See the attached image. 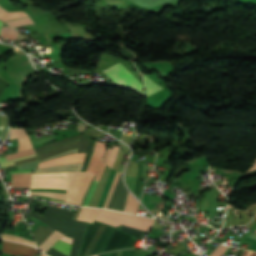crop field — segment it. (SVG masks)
<instances>
[{"mask_svg": "<svg viewBox=\"0 0 256 256\" xmlns=\"http://www.w3.org/2000/svg\"><path fill=\"white\" fill-rule=\"evenodd\" d=\"M98 225H99V222H97V221H94L93 224H91V223L87 224V228H86V232H85V236H84V240H83V243H82V247H81V251H80L79 256H82L85 248L87 247V245H88L90 239L92 238L94 232L96 231ZM111 229H112V226L106 225V227H105L102 235L100 236L97 244L95 245L91 255L98 254L100 252V250H101L105 240L107 239ZM113 229H114V227H113ZM113 229H112V231H113ZM112 231H111V233H112ZM143 234H144L143 231H139V230L133 229V228L128 227V226L120 225L119 228L115 227L111 236L109 235L110 238L108 237L109 240L108 241L106 240L107 243L105 242L106 245L104 244L105 246H104L102 252L127 248L128 244L131 241V238H129L130 235L142 238ZM137 237L135 238L136 239L135 242L137 240H140V238H137ZM133 242H134V240L132 239L128 248H131ZM135 242H134V244H135ZM134 244H133V246H134ZM133 246H132V248H133Z\"/></svg>", "mask_w": 256, "mask_h": 256, "instance_id": "crop-field-1", "label": "crop field"}, {"mask_svg": "<svg viewBox=\"0 0 256 256\" xmlns=\"http://www.w3.org/2000/svg\"><path fill=\"white\" fill-rule=\"evenodd\" d=\"M96 220L119 227L120 224L128 225L139 230L149 232L154 220L132 214L112 210H99Z\"/></svg>", "mask_w": 256, "mask_h": 256, "instance_id": "crop-field-2", "label": "crop field"}, {"mask_svg": "<svg viewBox=\"0 0 256 256\" xmlns=\"http://www.w3.org/2000/svg\"><path fill=\"white\" fill-rule=\"evenodd\" d=\"M92 176L91 172L68 173L65 202L80 204Z\"/></svg>", "mask_w": 256, "mask_h": 256, "instance_id": "crop-field-3", "label": "crop field"}, {"mask_svg": "<svg viewBox=\"0 0 256 256\" xmlns=\"http://www.w3.org/2000/svg\"><path fill=\"white\" fill-rule=\"evenodd\" d=\"M108 73L116 83L132 87L143 93V84L137 80L120 62L104 70Z\"/></svg>", "mask_w": 256, "mask_h": 256, "instance_id": "crop-field-4", "label": "crop field"}, {"mask_svg": "<svg viewBox=\"0 0 256 256\" xmlns=\"http://www.w3.org/2000/svg\"><path fill=\"white\" fill-rule=\"evenodd\" d=\"M79 136L81 138V140H79V141H75V142L69 143L67 145H64V146H62L60 148L53 149V150L46 151V152H43L41 154H38L39 161L43 160L45 158L51 157L53 155H56V154H59V153L65 152V151L77 149V148H79L78 152H86L89 139L84 137V136H82V135H79ZM75 137H78V136H75ZM75 137H70V138H66V139L60 140L58 142H55V143L43 146L41 148L35 149L34 151L42 149V148H45V147H48V146H51V145H54L56 143H59V142H62V141H65V140H68V139H71V138H75Z\"/></svg>", "mask_w": 256, "mask_h": 256, "instance_id": "crop-field-5", "label": "crop field"}, {"mask_svg": "<svg viewBox=\"0 0 256 256\" xmlns=\"http://www.w3.org/2000/svg\"><path fill=\"white\" fill-rule=\"evenodd\" d=\"M2 252L13 255L35 256L39 251L23 244H17L12 242H3Z\"/></svg>", "mask_w": 256, "mask_h": 256, "instance_id": "crop-field-6", "label": "crop field"}, {"mask_svg": "<svg viewBox=\"0 0 256 256\" xmlns=\"http://www.w3.org/2000/svg\"><path fill=\"white\" fill-rule=\"evenodd\" d=\"M85 154L86 153H76L70 156L54 159V160L39 164L38 168L52 166V165L73 163V162H83Z\"/></svg>", "mask_w": 256, "mask_h": 256, "instance_id": "crop-field-7", "label": "crop field"}, {"mask_svg": "<svg viewBox=\"0 0 256 256\" xmlns=\"http://www.w3.org/2000/svg\"><path fill=\"white\" fill-rule=\"evenodd\" d=\"M83 163H73L37 169L36 173L80 171Z\"/></svg>", "mask_w": 256, "mask_h": 256, "instance_id": "crop-field-8", "label": "crop field"}, {"mask_svg": "<svg viewBox=\"0 0 256 256\" xmlns=\"http://www.w3.org/2000/svg\"><path fill=\"white\" fill-rule=\"evenodd\" d=\"M53 231L54 229L48 226L45 228L39 224V226L32 233L37 243V246H39Z\"/></svg>", "mask_w": 256, "mask_h": 256, "instance_id": "crop-field-9", "label": "crop field"}, {"mask_svg": "<svg viewBox=\"0 0 256 256\" xmlns=\"http://www.w3.org/2000/svg\"><path fill=\"white\" fill-rule=\"evenodd\" d=\"M31 174L32 173L12 174L13 187H29Z\"/></svg>", "mask_w": 256, "mask_h": 256, "instance_id": "crop-field-10", "label": "crop field"}, {"mask_svg": "<svg viewBox=\"0 0 256 256\" xmlns=\"http://www.w3.org/2000/svg\"><path fill=\"white\" fill-rule=\"evenodd\" d=\"M62 236L64 235L55 230L38 248L45 252Z\"/></svg>", "mask_w": 256, "mask_h": 256, "instance_id": "crop-field-11", "label": "crop field"}, {"mask_svg": "<svg viewBox=\"0 0 256 256\" xmlns=\"http://www.w3.org/2000/svg\"><path fill=\"white\" fill-rule=\"evenodd\" d=\"M89 209L90 208L83 207L79 216H78V218H77V220L84 221L86 216H87V213H88ZM98 210L99 209L91 208L85 221L86 222H93V220L95 219V217L97 215Z\"/></svg>", "mask_w": 256, "mask_h": 256, "instance_id": "crop-field-12", "label": "crop field"}, {"mask_svg": "<svg viewBox=\"0 0 256 256\" xmlns=\"http://www.w3.org/2000/svg\"><path fill=\"white\" fill-rule=\"evenodd\" d=\"M30 217H33V218H36V219H39V220L43 221L44 223H46L47 225H49V226L55 228L56 230H58L59 232H61V233L64 234V235H66V233L68 232L67 229L62 228V227H60V226H58V225H56V224L50 222L49 220L45 219L44 217H42V216L36 214L34 211H31V212H30V215H29L28 218H30Z\"/></svg>", "mask_w": 256, "mask_h": 256, "instance_id": "crop-field-13", "label": "crop field"}, {"mask_svg": "<svg viewBox=\"0 0 256 256\" xmlns=\"http://www.w3.org/2000/svg\"><path fill=\"white\" fill-rule=\"evenodd\" d=\"M144 80H145V85H146V96H149L151 94H154L158 91H160L161 89H163V87H160L158 85H156L153 81H151L148 77H146L145 75H143Z\"/></svg>", "mask_w": 256, "mask_h": 256, "instance_id": "crop-field-14", "label": "crop field"}, {"mask_svg": "<svg viewBox=\"0 0 256 256\" xmlns=\"http://www.w3.org/2000/svg\"><path fill=\"white\" fill-rule=\"evenodd\" d=\"M139 206L138 201L133 197V195L129 192L127 200H126V206L125 210L126 212H132L136 214L137 208Z\"/></svg>", "mask_w": 256, "mask_h": 256, "instance_id": "crop-field-15", "label": "crop field"}, {"mask_svg": "<svg viewBox=\"0 0 256 256\" xmlns=\"http://www.w3.org/2000/svg\"><path fill=\"white\" fill-rule=\"evenodd\" d=\"M71 246H72L71 244L58 240V242L52 248L56 249L57 251L64 254L65 256H69Z\"/></svg>", "mask_w": 256, "mask_h": 256, "instance_id": "crop-field-16", "label": "crop field"}, {"mask_svg": "<svg viewBox=\"0 0 256 256\" xmlns=\"http://www.w3.org/2000/svg\"><path fill=\"white\" fill-rule=\"evenodd\" d=\"M101 161L102 159L95 152H93L87 171H92L93 174H96Z\"/></svg>", "mask_w": 256, "mask_h": 256, "instance_id": "crop-field-17", "label": "crop field"}, {"mask_svg": "<svg viewBox=\"0 0 256 256\" xmlns=\"http://www.w3.org/2000/svg\"><path fill=\"white\" fill-rule=\"evenodd\" d=\"M132 251H133V249H131V250H121V251H118L117 256H131ZM138 251H139V249H134L132 256H136ZM116 252L117 251H114V252H112V254H111V252L105 253L104 256H110V254H111V256H116ZM102 255L103 254H101L99 256H102Z\"/></svg>", "mask_w": 256, "mask_h": 256, "instance_id": "crop-field-18", "label": "crop field"}, {"mask_svg": "<svg viewBox=\"0 0 256 256\" xmlns=\"http://www.w3.org/2000/svg\"><path fill=\"white\" fill-rule=\"evenodd\" d=\"M20 17H27V15L23 12H16V13H1L0 19L3 21L14 19V18H20Z\"/></svg>", "mask_w": 256, "mask_h": 256, "instance_id": "crop-field-19", "label": "crop field"}, {"mask_svg": "<svg viewBox=\"0 0 256 256\" xmlns=\"http://www.w3.org/2000/svg\"><path fill=\"white\" fill-rule=\"evenodd\" d=\"M30 194H35V195H41V196H48L56 199H61L64 200L65 194L61 193H54V192H30Z\"/></svg>", "mask_w": 256, "mask_h": 256, "instance_id": "crop-field-20", "label": "crop field"}, {"mask_svg": "<svg viewBox=\"0 0 256 256\" xmlns=\"http://www.w3.org/2000/svg\"><path fill=\"white\" fill-rule=\"evenodd\" d=\"M17 32H15L13 29H11L10 27H2V32H1V36L2 37H6V38H13L15 39L17 36Z\"/></svg>", "mask_w": 256, "mask_h": 256, "instance_id": "crop-field-21", "label": "crop field"}, {"mask_svg": "<svg viewBox=\"0 0 256 256\" xmlns=\"http://www.w3.org/2000/svg\"><path fill=\"white\" fill-rule=\"evenodd\" d=\"M119 175H120V173L117 172L116 175H115V177H114V180H113V182H112V184H111V187H110V189H109V192H108V195H107L105 204H104V206H103V207H105V208L108 207V204H109V201H110L112 192H113V190H114V187H115V185H116V182H117V180H118Z\"/></svg>", "mask_w": 256, "mask_h": 256, "instance_id": "crop-field-22", "label": "crop field"}, {"mask_svg": "<svg viewBox=\"0 0 256 256\" xmlns=\"http://www.w3.org/2000/svg\"><path fill=\"white\" fill-rule=\"evenodd\" d=\"M18 140H19V149H18V151L32 148L28 136L23 137V138H19Z\"/></svg>", "mask_w": 256, "mask_h": 256, "instance_id": "crop-field-23", "label": "crop field"}, {"mask_svg": "<svg viewBox=\"0 0 256 256\" xmlns=\"http://www.w3.org/2000/svg\"><path fill=\"white\" fill-rule=\"evenodd\" d=\"M31 154H34L33 149L23 151V152H19V153L9 154L6 157H7L8 160H10V159H15V158H19V157L28 156V155H31Z\"/></svg>", "mask_w": 256, "mask_h": 256, "instance_id": "crop-field-24", "label": "crop field"}, {"mask_svg": "<svg viewBox=\"0 0 256 256\" xmlns=\"http://www.w3.org/2000/svg\"><path fill=\"white\" fill-rule=\"evenodd\" d=\"M33 156H36V155L34 154V155H31V156H28L25 158H29V157H33ZM25 158H21V159H25ZM21 159L7 161L6 157H2V158H0V166L2 168L13 166V165H15L14 162L21 160Z\"/></svg>", "mask_w": 256, "mask_h": 256, "instance_id": "crop-field-25", "label": "crop field"}, {"mask_svg": "<svg viewBox=\"0 0 256 256\" xmlns=\"http://www.w3.org/2000/svg\"><path fill=\"white\" fill-rule=\"evenodd\" d=\"M24 135H27L24 128H12L9 140L12 138H16Z\"/></svg>", "mask_w": 256, "mask_h": 256, "instance_id": "crop-field-26", "label": "crop field"}, {"mask_svg": "<svg viewBox=\"0 0 256 256\" xmlns=\"http://www.w3.org/2000/svg\"><path fill=\"white\" fill-rule=\"evenodd\" d=\"M6 23L10 24L11 26H19L23 24H30L32 21L29 19V17L25 19H20V20H13V21H6Z\"/></svg>", "mask_w": 256, "mask_h": 256, "instance_id": "crop-field-27", "label": "crop field"}, {"mask_svg": "<svg viewBox=\"0 0 256 256\" xmlns=\"http://www.w3.org/2000/svg\"><path fill=\"white\" fill-rule=\"evenodd\" d=\"M36 177H67V173L36 174L32 178Z\"/></svg>", "mask_w": 256, "mask_h": 256, "instance_id": "crop-field-28", "label": "crop field"}, {"mask_svg": "<svg viewBox=\"0 0 256 256\" xmlns=\"http://www.w3.org/2000/svg\"><path fill=\"white\" fill-rule=\"evenodd\" d=\"M106 145H107V144L100 143V142H98V141H97V143H96L95 151L99 154V156H100L101 158H103Z\"/></svg>", "mask_w": 256, "mask_h": 256, "instance_id": "crop-field-29", "label": "crop field"}, {"mask_svg": "<svg viewBox=\"0 0 256 256\" xmlns=\"http://www.w3.org/2000/svg\"><path fill=\"white\" fill-rule=\"evenodd\" d=\"M97 183H98V181L95 180L94 183H93V185H92V187H91V189H90V191H89V193H88V195H87V197H86V199H85V201H84V202H85V203H84L85 206L88 205V203H89V201H90V199H91V196H92V194H93V192H94V190H95V188H96Z\"/></svg>", "mask_w": 256, "mask_h": 256, "instance_id": "crop-field-30", "label": "crop field"}, {"mask_svg": "<svg viewBox=\"0 0 256 256\" xmlns=\"http://www.w3.org/2000/svg\"><path fill=\"white\" fill-rule=\"evenodd\" d=\"M227 248L228 247L219 244L217 249L210 256H221L227 250Z\"/></svg>", "mask_w": 256, "mask_h": 256, "instance_id": "crop-field-31", "label": "crop field"}, {"mask_svg": "<svg viewBox=\"0 0 256 256\" xmlns=\"http://www.w3.org/2000/svg\"><path fill=\"white\" fill-rule=\"evenodd\" d=\"M118 148H119V147H117V146H114V147H113V150H112V153H111L109 162H108V164L110 165V167H112V165H113V163H114V161H115Z\"/></svg>", "mask_w": 256, "mask_h": 256, "instance_id": "crop-field-32", "label": "crop field"}, {"mask_svg": "<svg viewBox=\"0 0 256 256\" xmlns=\"http://www.w3.org/2000/svg\"><path fill=\"white\" fill-rule=\"evenodd\" d=\"M78 139H79V138H77V139H72V140H68V141L62 142V143H60V144H57V145H54V146H51V147H48V148H45V149L36 151V154H38V153H40V152H43V151H46V150H49V149H52V148H55V147H58V146H60V145H63V144L69 143V142H72V141L78 140Z\"/></svg>", "mask_w": 256, "mask_h": 256, "instance_id": "crop-field-33", "label": "crop field"}, {"mask_svg": "<svg viewBox=\"0 0 256 256\" xmlns=\"http://www.w3.org/2000/svg\"><path fill=\"white\" fill-rule=\"evenodd\" d=\"M140 165H141V164L139 163V164H138V173H137L136 188H135V192H134L135 195H136L137 188H138V179H139ZM141 168H142V166H141ZM140 184H141V173H140V180H139L138 192H139V189H140ZM138 192H137V196H138Z\"/></svg>", "mask_w": 256, "mask_h": 256, "instance_id": "crop-field-34", "label": "crop field"}, {"mask_svg": "<svg viewBox=\"0 0 256 256\" xmlns=\"http://www.w3.org/2000/svg\"><path fill=\"white\" fill-rule=\"evenodd\" d=\"M77 150H78V149H77ZM77 150H73V151L66 152V153H63V154H60V155H56V156H54V157H52V158H49V159H47V160H44V161H48V160H51V159H54V158H57V157H61V156H65V155L73 154V153H76V152H77ZM44 161H42V162H44Z\"/></svg>", "mask_w": 256, "mask_h": 256, "instance_id": "crop-field-35", "label": "crop field"}, {"mask_svg": "<svg viewBox=\"0 0 256 256\" xmlns=\"http://www.w3.org/2000/svg\"><path fill=\"white\" fill-rule=\"evenodd\" d=\"M35 160H37V157L21 160V161L16 162L15 164L18 165V164H22V163H26V162H30V161H35Z\"/></svg>", "mask_w": 256, "mask_h": 256, "instance_id": "crop-field-36", "label": "crop field"}, {"mask_svg": "<svg viewBox=\"0 0 256 256\" xmlns=\"http://www.w3.org/2000/svg\"><path fill=\"white\" fill-rule=\"evenodd\" d=\"M256 169V161L253 162V164L249 167V169L247 171Z\"/></svg>", "mask_w": 256, "mask_h": 256, "instance_id": "crop-field-37", "label": "crop field"}, {"mask_svg": "<svg viewBox=\"0 0 256 256\" xmlns=\"http://www.w3.org/2000/svg\"><path fill=\"white\" fill-rule=\"evenodd\" d=\"M21 172H32V170L13 171V172H8V173H21Z\"/></svg>", "mask_w": 256, "mask_h": 256, "instance_id": "crop-field-38", "label": "crop field"}, {"mask_svg": "<svg viewBox=\"0 0 256 256\" xmlns=\"http://www.w3.org/2000/svg\"><path fill=\"white\" fill-rule=\"evenodd\" d=\"M244 250L239 249L235 256H241Z\"/></svg>", "mask_w": 256, "mask_h": 256, "instance_id": "crop-field-39", "label": "crop field"}, {"mask_svg": "<svg viewBox=\"0 0 256 256\" xmlns=\"http://www.w3.org/2000/svg\"><path fill=\"white\" fill-rule=\"evenodd\" d=\"M4 24H5V23H3V22L0 21V26H2V25H4Z\"/></svg>", "mask_w": 256, "mask_h": 256, "instance_id": "crop-field-40", "label": "crop field"}, {"mask_svg": "<svg viewBox=\"0 0 256 256\" xmlns=\"http://www.w3.org/2000/svg\"><path fill=\"white\" fill-rule=\"evenodd\" d=\"M0 11H6V10L0 7Z\"/></svg>", "mask_w": 256, "mask_h": 256, "instance_id": "crop-field-41", "label": "crop field"}, {"mask_svg": "<svg viewBox=\"0 0 256 256\" xmlns=\"http://www.w3.org/2000/svg\"><path fill=\"white\" fill-rule=\"evenodd\" d=\"M41 256H46V255L42 254Z\"/></svg>", "mask_w": 256, "mask_h": 256, "instance_id": "crop-field-42", "label": "crop field"}, {"mask_svg": "<svg viewBox=\"0 0 256 256\" xmlns=\"http://www.w3.org/2000/svg\"><path fill=\"white\" fill-rule=\"evenodd\" d=\"M0 29H1V27H0Z\"/></svg>", "mask_w": 256, "mask_h": 256, "instance_id": "crop-field-43", "label": "crop field"}]
</instances>
